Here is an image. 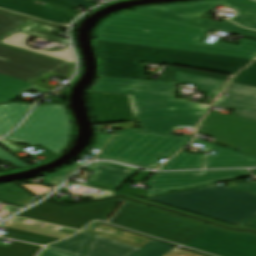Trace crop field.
Returning a JSON list of instances; mask_svg holds the SVG:
<instances>
[{"label":"crop field","instance_id":"8a807250","mask_svg":"<svg viewBox=\"0 0 256 256\" xmlns=\"http://www.w3.org/2000/svg\"><path fill=\"white\" fill-rule=\"evenodd\" d=\"M209 28L187 24L139 11L116 14L95 30L96 40L256 58V41L243 38L237 45L215 41L200 42Z\"/></svg>","mask_w":256,"mask_h":256},{"label":"crop field","instance_id":"ac0d7876","mask_svg":"<svg viewBox=\"0 0 256 256\" xmlns=\"http://www.w3.org/2000/svg\"><path fill=\"white\" fill-rule=\"evenodd\" d=\"M175 84L102 77L90 91L133 95L139 120L204 116L209 106L173 100Z\"/></svg>","mask_w":256,"mask_h":256},{"label":"crop field","instance_id":"34b2d1b8","mask_svg":"<svg viewBox=\"0 0 256 256\" xmlns=\"http://www.w3.org/2000/svg\"><path fill=\"white\" fill-rule=\"evenodd\" d=\"M148 199L232 224L256 216V196L225 186L212 185Z\"/></svg>","mask_w":256,"mask_h":256},{"label":"crop field","instance_id":"412701ff","mask_svg":"<svg viewBox=\"0 0 256 256\" xmlns=\"http://www.w3.org/2000/svg\"><path fill=\"white\" fill-rule=\"evenodd\" d=\"M192 138L141 132L128 129L116 134L114 140L99 154L98 158L121 161L156 168L161 158H169L190 142Z\"/></svg>","mask_w":256,"mask_h":256},{"label":"crop field","instance_id":"f4fd0767","mask_svg":"<svg viewBox=\"0 0 256 256\" xmlns=\"http://www.w3.org/2000/svg\"><path fill=\"white\" fill-rule=\"evenodd\" d=\"M220 5L229 6L236 10L237 16L233 18L232 21L239 25L256 29V2L251 0H211L204 3H185L139 8L136 10L221 31L256 38V31L244 29L227 20L219 23L201 18L208 11Z\"/></svg>","mask_w":256,"mask_h":256},{"label":"crop field","instance_id":"dd49c442","mask_svg":"<svg viewBox=\"0 0 256 256\" xmlns=\"http://www.w3.org/2000/svg\"><path fill=\"white\" fill-rule=\"evenodd\" d=\"M110 223L154 235L182 245L210 228L129 203L123 207Z\"/></svg>","mask_w":256,"mask_h":256},{"label":"crop field","instance_id":"e52e79f7","mask_svg":"<svg viewBox=\"0 0 256 256\" xmlns=\"http://www.w3.org/2000/svg\"><path fill=\"white\" fill-rule=\"evenodd\" d=\"M70 123L63 106L35 107L30 118L5 138L25 145H41L60 153L67 145Z\"/></svg>","mask_w":256,"mask_h":256},{"label":"crop field","instance_id":"d8731c3e","mask_svg":"<svg viewBox=\"0 0 256 256\" xmlns=\"http://www.w3.org/2000/svg\"><path fill=\"white\" fill-rule=\"evenodd\" d=\"M75 64L0 44V74L34 82L49 73L71 78Z\"/></svg>","mask_w":256,"mask_h":256},{"label":"crop field","instance_id":"5a996713","mask_svg":"<svg viewBox=\"0 0 256 256\" xmlns=\"http://www.w3.org/2000/svg\"><path fill=\"white\" fill-rule=\"evenodd\" d=\"M101 58L174 65L179 57L246 66L253 60L96 41Z\"/></svg>","mask_w":256,"mask_h":256},{"label":"crop field","instance_id":"3316defc","mask_svg":"<svg viewBox=\"0 0 256 256\" xmlns=\"http://www.w3.org/2000/svg\"><path fill=\"white\" fill-rule=\"evenodd\" d=\"M116 201L113 199L70 208L43 202L20 216L80 230L93 219L102 221Z\"/></svg>","mask_w":256,"mask_h":256},{"label":"crop field","instance_id":"28ad6ade","mask_svg":"<svg viewBox=\"0 0 256 256\" xmlns=\"http://www.w3.org/2000/svg\"><path fill=\"white\" fill-rule=\"evenodd\" d=\"M198 133L241 146L240 152L256 156V121L210 112Z\"/></svg>","mask_w":256,"mask_h":256},{"label":"crop field","instance_id":"d1516ede","mask_svg":"<svg viewBox=\"0 0 256 256\" xmlns=\"http://www.w3.org/2000/svg\"><path fill=\"white\" fill-rule=\"evenodd\" d=\"M248 170L155 173L147 182L148 196L250 177Z\"/></svg>","mask_w":256,"mask_h":256},{"label":"crop field","instance_id":"22f410ed","mask_svg":"<svg viewBox=\"0 0 256 256\" xmlns=\"http://www.w3.org/2000/svg\"><path fill=\"white\" fill-rule=\"evenodd\" d=\"M185 246L217 256H256V237L209 229Z\"/></svg>","mask_w":256,"mask_h":256},{"label":"crop field","instance_id":"cbeb9de0","mask_svg":"<svg viewBox=\"0 0 256 256\" xmlns=\"http://www.w3.org/2000/svg\"><path fill=\"white\" fill-rule=\"evenodd\" d=\"M97 124L138 121L132 96L89 92Z\"/></svg>","mask_w":256,"mask_h":256},{"label":"crop field","instance_id":"5142ce71","mask_svg":"<svg viewBox=\"0 0 256 256\" xmlns=\"http://www.w3.org/2000/svg\"><path fill=\"white\" fill-rule=\"evenodd\" d=\"M41 0H0V8L37 17L46 21L70 24L77 15L47 4Z\"/></svg>","mask_w":256,"mask_h":256},{"label":"crop field","instance_id":"d9b57169","mask_svg":"<svg viewBox=\"0 0 256 256\" xmlns=\"http://www.w3.org/2000/svg\"><path fill=\"white\" fill-rule=\"evenodd\" d=\"M223 93L230 96L218 100L216 107L235 110L233 115L256 120V88L230 83Z\"/></svg>","mask_w":256,"mask_h":256},{"label":"crop field","instance_id":"733c2abd","mask_svg":"<svg viewBox=\"0 0 256 256\" xmlns=\"http://www.w3.org/2000/svg\"><path fill=\"white\" fill-rule=\"evenodd\" d=\"M194 142L206 145L205 148L207 149L217 151L216 155L207 156L206 168L256 166V158L240 154L228 148L219 147L198 138Z\"/></svg>","mask_w":256,"mask_h":256},{"label":"crop field","instance_id":"4a817a6b","mask_svg":"<svg viewBox=\"0 0 256 256\" xmlns=\"http://www.w3.org/2000/svg\"><path fill=\"white\" fill-rule=\"evenodd\" d=\"M87 169L98 171L93 177L89 179L90 181L118 187H121L128 178L139 171L138 169L109 162L92 164L89 165Z\"/></svg>","mask_w":256,"mask_h":256},{"label":"crop field","instance_id":"bc2a9ffb","mask_svg":"<svg viewBox=\"0 0 256 256\" xmlns=\"http://www.w3.org/2000/svg\"><path fill=\"white\" fill-rule=\"evenodd\" d=\"M100 76L146 80L144 64L100 59Z\"/></svg>","mask_w":256,"mask_h":256},{"label":"crop field","instance_id":"214f88e0","mask_svg":"<svg viewBox=\"0 0 256 256\" xmlns=\"http://www.w3.org/2000/svg\"><path fill=\"white\" fill-rule=\"evenodd\" d=\"M137 248L95 236L85 256H131Z\"/></svg>","mask_w":256,"mask_h":256},{"label":"crop field","instance_id":"92a150f3","mask_svg":"<svg viewBox=\"0 0 256 256\" xmlns=\"http://www.w3.org/2000/svg\"><path fill=\"white\" fill-rule=\"evenodd\" d=\"M202 117L140 121L142 131L173 134L181 126L197 127Z\"/></svg>","mask_w":256,"mask_h":256},{"label":"crop field","instance_id":"dafd665d","mask_svg":"<svg viewBox=\"0 0 256 256\" xmlns=\"http://www.w3.org/2000/svg\"><path fill=\"white\" fill-rule=\"evenodd\" d=\"M28 89H34L46 94L51 92V90L0 75V103L16 100L21 91Z\"/></svg>","mask_w":256,"mask_h":256},{"label":"crop field","instance_id":"00972430","mask_svg":"<svg viewBox=\"0 0 256 256\" xmlns=\"http://www.w3.org/2000/svg\"><path fill=\"white\" fill-rule=\"evenodd\" d=\"M29 106L19 103L0 106V137L13 129L25 117Z\"/></svg>","mask_w":256,"mask_h":256},{"label":"crop field","instance_id":"a9b5d70f","mask_svg":"<svg viewBox=\"0 0 256 256\" xmlns=\"http://www.w3.org/2000/svg\"><path fill=\"white\" fill-rule=\"evenodd\" d=\"M109 231L111 233H108ZM91 232L96 233V235L98 236L105 237L137 248L145 246L152 240L103 225L99 226Z\"/></svg>","mask_w":256,"mask_h":256},{"label":"crop field","instance_id":"4177f3b9","mask_svg":"<svg viewBox=\"0 0 256 256\" xmlns=\"http://www.w3.org/2000/svg\"><path fill=\"white\" fill-rule=\"evenodd\" d=\"M175 65L207 70L212 72H218V73H224V74H230V75H234L240 69L244 68L242 66H235V65H228V64L179 58V57H175Z\"/></svg>","mask_w":256,"mask_h":256},{"label":"crop field","instance_id":"730fd06b","mask_svg":"<svg viewBox=\"0 0 256 256\" xmlns=\"http://www.w3.org/2000/svg\"><path fill=\"white\" fill-rule=\"evenodd\" d=\"M178 83L190 84L198 88V90L208 92L207 97L215 98L217 93L226 83L225 81H219L214 79H208L198 76H192L187 74H181L176 72Z\"/></svg>","mask_w":256,"mask_h":256},{"label":"crop field","instance_id":"eef30255","mask_svg":"<svg viewBox=\"0 0 256 256\" xmlns=\"http://www.w3.org/2000/svg\"><path fill=\"white\" fill-rule=\"evenodd\" d=\"M93 237L94 235L81 231L78 235L72 238L47 247L70 253L75 256H82L85 253L87 244L91 242Z\"/></svg>","mask_w":256,"mask_h":256},{"label":"crop field","instance_id":"ae1a2a85","mask_svg":"<svg viewBox=\"0 0 256 256\" xmlns=\"http://www.w3.org/2000/svg\"><path fill=\"white\" fill-rule=\"evenodd\" d=\"M31 37V35H27L24 33H16L9 38L1 41L0 43L8 44L11 46L19 47L22 49L30 50L33 52L41 53L44 55L52 56L55 58L63 59L66 61L74 62L73 54L72 51L68 48H66L64 51H56V52H51V51H41V50H36L29 48L26 44L27 39ZM75 63V62H74Z\"/></svg>","mask_w":256,"mask_h":256},{"label":"crop field","instance_id":"d3111659","mask_svg":"<svg viewBox=\"0 0 256 256\" xmlns=\"http://www.w3.org/2000/svg\"><path fill=\"white\" fill-rule=\"evenodd\" d=\"M203 159V154L182 151L160 170L202 169Z\"/></svg>","mask_w":256,"mask_h":256},{"label":"crop field","instance_id":"750c4746","mask_svg":"<svg viewBox=\"0 0 256 256\" xmlns=\"http://www.w3.org/2000/svg\"><path fill=\"white\" fill-rule=\"evenodd\" d=\"M32 197L25 194L13 185H5L0 187V201L15 206L22 207L30 203Z\"/></svg>","mask_w":256,"mask_h":256},{"label":"crop field","instance_id":"bd1437ed","mask_svg":"<svg viewBox=\"0 0 256 256\" xmlns=\"http://www.w3.org/2000/svg\"><path fill=\"white\" fill-rule=\"evenodd\" d=\"M58 30H59V28L35 23V24L21 30L20 32H24L27 34H31V35H34L37 37H41V38H44V39H47L50 41H54V42L69 46L70 44L67 39L60 38V37L53 35Z\"/></svg>","mask_w":256,"mask_h":256},{"label":"crop field","instance_id":"1d83c4d3","mask_svg":"<svg viewBox=\"0 0 256 256\" xmlns=\"http://www.w3.org/2000/svg\"><path fill=\"white\" fill-rule=\"evenodd\" d=\"M32 22L33 21L0 13V40Z\"/></svg>","mask_w":256,"mask_h":256},{"label":"crop field","instance_id":"120bbe31","mask_svg":"<svg viewBox=\"0 0 256 256\" xmlns=\"http://www.w3.org/2000/svg\"><path fill=\"white\" fill-rule=\"evenodd\" d=\"M42 247L13 241L8 248L0 247V256H36Z\"/></svg>","mask_w":256,"mask_h":256},{"label":"crop field","instance_id":"d32e631a","mask_svg":"<svg viewBox=\"0 0 256 256\" xmlns=\"http://www.w3.org/2000/svg\"><path fill=\"white\" fill-rule=\"evenodd\" d=\"M6 232L8 233L4 235V237L18 239V240H25V241H29V242H33L41 245H48L52 242L60 240V239H55L51 237H46V236L37 235V234L28 233V232L19 231V230L10 229V228H7Z\"/></svg>","mask_w":256,"mask_h":256},{"label":"crop field","instance_id":"5866460e","mask_svg":"<svg viewBox=\"0 0 256 256\" xmlns=\"http://www.w3.org/2000/svg\"><path fill=\"white\" fill-rule=\"evenodd\" d=\"M174 248L176 247L153 240L145 247L135 252L132 256H165Z\"/></svg>","mask_w":256,"mask_h":256},{"label":"crop field","instance_id":"028f5c9d","mask_svg":"<svg viewBox=\"0 0 256 256\" xmlns=\"http://www.w3.org/2000/svg\"><path fill=\"white\" fill-rule=\"evenodd\" d=\"M181 72V73H187L192 75H198L208 78H214L219 80H225L228 81L230 77L227 76H221V75H215V74H209V73H203V72H197V71H191V70H185V69H179V68H173V67H166L164 73L166 75L159 78L158 81H168V82H177L175 72Z\"/></svg>","mask_w":256,"mask_h":256},{"label":"crop field","instance_id":"e1f06a70","mask_svg":"<svg viewBox=\"0 0 256 256\" xmlns=\"http://www.w3.org/2000/svg\"><path fill=\"white\" fill-rule=\"evenodd\" d=\"M2 226L11 227V228L24 230V231H28V232H33V233H37V234H42V235H46V236L56 237V238H60V239L71 236L70 234L52 231V230L39 228V227H35V226H30V225H26V224H21V223H17V222H11V223L5 222L2 224Z\"/></svg>","mask_w":256,"mask_h":256},{"label":"crop field","instance_id":"0bd39190","mask_svg":"<svg viewBox=\"0 0 256 256\" xmlns=\"http://www.w3.org/2000/svg\"><path fill=\"white\" fill-rule=\"evenodd\" d=\"M231 82L256 87V62L247 67L241 74L232 79Z\"/></svg>","mask_w":256,"mask_h":256},{"label":"crop field","instance_id":"b80d0937","mask_svg":"<svg viewBox=\"0 0 256 256\" xmlns=\"http://www.w3.org/2000/svg\"><path fill=\"white\" fill-rule=\"evenodd\" d=\"M79 165H81V164L76 163V164H74L66 169H63L57 173L44 176L45 180H47V181L44 182L43 184L54 187Z\"/></svg>","mask_w":256,"mask_h":256},{"label":"crop field","instance_id":"c035e120","mask_svg":"<svg viewBox=\"0 0 256 256\" xmlns=\"http://www.w3.org/2000/svg\"><path fill=\"white\" fill-rule=\"evenodd\" d=\"M43 1H45V2H47V3H50V4H52V5H55V6H57V7H60V8H62V9H65V10H67V11H70V12H72V13H75V14H77V15H79V14L81 13V12H79V11H76V10L72 9V8L75 7L76 5L70 3V2H68V1H66V0H43Z\"/></svg>","mask_w":256,"mask_h":256},{"label":"crop field","instance_id":"c21b1889","mask_svg":"<svg viewBox=\"0 0 256 256\" xmlns=\"http://www.w3.org/2000/svg\"><path fill=\"white\" fill-rule=\"evenodd\" d=\"M0 158H2L3 160L9 162L10 164L16 167L27 166L25 163L18 160L17 158H15L14 156H12L11 154H9L8 152H6L1 148H0Z\"/></svg>","mask_w":256,"mask_h":256},{"label":"crop field","instance_id":"03da06ac","mask_svg":"<svg viewBox=\"0 0 256 256\" xmlns=\"http://www.w3.org/2000/svg\"><path fill=\"white\" fill-rule=\"evenodd\" d=\"M241 191L256 195V182L232 186Z\"/></svg>","mask_w":256,"mask_h":256},{"label":"crop field","instance_id":"b54c1fbb","mask_svg":"<svg viewBox=\"0 0 256 256\" xmlns=\"http://www.w3.org/2000/svg\"><path fill=\"white\" fill-rule=\"evenodd\" d=\"M113 137L111 134H99L98 141L94 146V149L101 150Z\"/></svg>","mask_w":256,"mask_h":256},{"label":"crop field","instance_id":"5d738f31","mask_svg":"<svg viewBox=\"0 0 256 256\" xmlns=\"http://www.w3.org/2000/svg\"><path fill=\"white\" fill-rule=\"evenodd\" d=\"M167 256H202V255H198L189 251H185L179 248H176L175 250H173L171 253H169Z\"/></svg>","mask_w":256,"mask_h":256},{"label":"crop field","instance_id":"d23c7cc5","mask_svg":"<svg viewBox=\"0 0 256 256\" xmlns=\"http://www.w3.org/2000/svg\"><path fill=\"white\" fill-rule=\"evenodd\" d=\"M39 256H73L56 250L45 248Z\"/></svg>","mask_w":256,"mask_h":256},{"label":"crop field","instance_id":"425ffa30","mask_svg":"<svg viewBox=\"0 0 256 256\" xmlns=\"http://www.w3.org/2000/svg\"><path fill=\"white\" fill-rule=\"evenodd\" d=\"M76 5H79L81 7H84L86 9H89L93 6H95L94 4H92L91 2L87 1V0H68Z\"/></svg>","mask_w":256,"mask_h":256},{"label":"crop field","instance_id":"25e5ab78","mask_svg":"<svg viewBox=\"0 0 256 256\" xmlns=\"http://www.w3.org/2000/svg\"><path fill=\"white\" fill-rule=\"evenodd\" d=\"M27 187H29L30 189H32L33 191H35L38 194L50 190V189H48L46 187H42V186H38V185H32V186H27Z\"/></svg>","mask_w":256,"mask_h":256},{"label":"crop field","instance_id":"73cf0c24","mask_svg":"<svg viewBox=\"0 0 256 256\" xmlns=\"http://www.w3.org/2000/svg\"><path fill=\"white\" fill-rule=\"evenodd\" d=\"M238 226H247V227H256V217L247 220L241 224H239Z\"/></svg>","mask_w":256,"mask_h":256},{"label":"crop field","instance_id":"89e229c0","mask_svg":"<svg viewBox=\"0 0 256 256\" xmlns=\"http://www.w3.org/2000/svg\"><path fill=\"white\" fill-rule=\"evenodd\" d=\"M0 144H2V145H4L5 147H7V148H9V149H11V150H14V151H22V150H20L19 148H17L16 146H14V145H12V144H10V143L4 141V140L1 141Z\"/></svg>","mask_w":256,"mask_h":256},{"label":"crop field","instance_id":"1f2cbd36","mask_svg":"<svg viewBox=\"0 0 256 256\" xmlns=\"http://www.w3.org/2000/svg\"><path fill=\"white\" fill-rule=\"evenodd\" d=\"M98 224H100V222H94L93 224H91L90 226H88L87 228H85L83 231L88 232V231L91 230L92 228L96 227Z\"/></svg>","mask_w":256,"mask_h":256},{"label":"crop field","instance_id":"dbb93151","mask_svg":"<svg viewBox=\"0 0 256 256\" xmlns=\"http://www.w3.org/2000/svg\"><path fill=\"white\" fill-rule=\"evenodd\" d=\"M256 175V170H251Z\"/></svg>","mask_w":256,"mask_h":256},{"label":"crop field","instance_id":"0fb4a251","mask_svg":"<svg viewBox=\"0 0 256 256\" xmlns=\"http://www.w3.org/2000/svg\"><path fill=\"white\" fill-rule=\"evenodd\" d=\"M243 228H246V227H243ZM248 229H254V230H256V228H248Z\"/></svg>","mask_w":256,"mask_h":256},{"label":"crop field","instance_id":"1d79db26","mask_svg":"<svg viewBox=\"0 0 256 256\" xmlns=\"http://www.w3.org/2000/svg\"><path fill=\"white\" fill-rule=\"evenodd\" d=\"M254 1H256V0H254Z\"/></svg>","mask_w":256,"mask_h":256}]
</instances>
